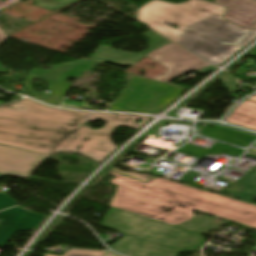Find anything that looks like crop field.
<instances>
[{
	"instance_id": "733c2abd",
	"label": "crop field",
	"mask_w": 256,
	"mask_h": 256,
	"mask_svg": "<svg viewBox=\"0 0 256 256\" xmlns=\"http://www.w3.org/2000/svg\"><path fill=\"white\" fill-rule=\"evenodd\" d=\"M213 137L223 139V140H226V141H229V142H232V143H235V144H239V145H242V146H245L247 143L250 142V140H246V139H243V138H239V137L228 135V134L221 133V132L217 133Z\"/></svg>"
},
{
	"instance_id": "8a807250",
	"label": "crop field",
	"mask_w": 256,
	"mask_h": 256,
	"mask_svg": "<svg viewBox=\"0 0 256 256\" xmlns=\"http://www.w3.org/2000/svg\"><path fill=\"white\" fill-rule=\"evenodd\" d=\"M97 119L107 124L96 130L80 126ZM136 119L142 121L138 124ZM147 120L131 115L61 111L24 99L0 108V145L48 154L80 152L101 162L117 149L110 139L114 129L124 125L137 130Z\"/></svg>"
},
{
	"instance_id": "d8731c3e",
	"label": "crop field",
	"mask_w": 256,
	"mask_h": 256,
	"mask_svg": "<svg viewBox=\"0 0 256 256\" xmlns=\"http://www.w3.org/2000/svg\"><path fill=\"white\" fill-rule=\"evenodd\" d=\"M173 43V42H172ZM166 44L152 52L147 57L163 63L167 68L168 72L165 76L155 80L163 83H167L191 70H198L209 63L202 59L192 55L191 53L183 50L182 48L174 44Z\"/></svg>"
},
{
	"instance_id": "4177f3b9",
	"label": "crop field",
	"mask_w": 256,
	"mask_h": 256,
	"mask_svg": "<svg viewBox=\"0 0 256 256\" xmlns=\"http://www.w3.org/2000/svg\"><path fill=\"white\" fill-rule=\"evenodd\" d=\"M253 29H256V24L253 25Z\"/></svg>"
},
{
	"instance_id": "bc2a9ffb",
	"label": "crop field",
	"mask_w": 256,
	"mask_h": 256,
	"mask_svg": "<svg viewBox=\"0 0 256 256\" xmlns=\"http://www.w3.org/2000/svg\"><path fill=\"white\" fill-rule=\"evenodd\" d=\"M20 0H7L5 2L0 1V9L10 6ZM6 38V34L0 29V42Z\"/></svg>"
},
{
	"instance_id": "00972430",
	"label": "crop field",
	"mask_w": 256,
	"mask_h": 256,
	"mask_svg": "<svg viewBox=\"0 0 256 256\" xmlns=\"http://www.w3.org/2000/svg\"><path fill=\"white\" fill-rule=\"evenodd\" d=\"M0 73H7L5 69L0 65Z\"/></svg>"
},
{
	"instance_id": "28ad6ade",
	"label": "crop field",
	"mask_w": 256,
	"mask_h": 256,
	"mask_svg": "<svg viewBox=\"0 0 256 256\" xmlns=\"http://www.w3.org/2000/svg\"><path fill=\"white\" fill-rule=\"evenodd\" d=\"M142 36L150 40L148 41V44H147L149 48L148 50H145L139 54H135V53L112 50V49H109V47L107 46L99 45L96 52L89 58V60L95 61L98 63L110 62V63L122 65V66L134 65L146 54H148L151 50H154L166 43H169V41L163 39L162 37L158 36L157 34L151 31Z\"/></svg>"
},
{
	"instance_id": "214f88e0",
	"label": "crop field",
	"mask_w": 256,
	"mask_h": 256,
	"mask_svg": "<svg viewBox=\"0 0 256 256\" xmlns=\"http://www.w3.org/2000/svg\"><path fill=\"white\" fill-rule=\"evenodd\" d=\"M107 168H108V169H111V170H114V171H116V172H119V173L128 175V176L134 177V178H136V179L145 181V182H148V181L150 180V179H147V178H144V177H141V176H137V175H134V174H131V173H126V172L118 171V170H115V169L110 168V167H107Z\"/></svg>"
},
{
	"instance_id": "e52e79f7",
	"label": "crop field",
	"mask_w": 256,
	"mask_h": 256,
	"mask_svg": "<svg viewBox=\"0 0 256 256\" xmlns=\"http://www.w3.org/2000/svg\"><path fill=\"white\" fill-rule=\"evenodd\" d=\"M204 243L200 234L189 231L169 248L127 235L109 247L129 256H178L180 252L194 251Z\"/></svg>"
},
{
	"instance_id": "3316defc",
	"label": "crop field",
	"mask_w": 256,
	"mask_h": 256,
	"mask_svg": "<svg viewBox=\"0 0 256 256\" xmlns=\"http://www.w3.org/2000/svg\"><path fill=\"white\" fill-rule=\"evenodd\" d=\"M45 216L36 215L15 207L0 212V247L7 243L18 230H33Z\"/></svg>"
},
{
	"instance_id": "22f410ed",
	"label": "crop field",
	"mask_w": 256,
	"mask_h": 256,
	"mask_svg": "<svg viewBox=\"0 0 256 256\" xmlns=\"http://www.w3.org/2000/svg\"><path fill=\"white\" fill-rule=\"evenodd\" d=\"M226 121L256 131V103L246 100L228 116Z\"/></svg>"
},
{
	"instance_id": "d9b57169",
	"label": "crop field",
	"mask_w": 256,
	"mask_h": 256,
	"mask_svg": "<svg viewBox=\"0 0 256 256\" xmlns=\"http://www.w3.org/2000/svg\"><path fill=\"white\" fill-rule=\"evenodd\" d=\"M106 252H96L88 250H69L63 256H103ZM43 256H56L50 254H44Z\"/></svg>"
},
{
	"instance_id": "4a817a6b",
	"label": "crop field",
	"mask_w": 256,
	"mask_h": 256,
	"mask_svg": "<svg viewBox=\"0 0 256 256\" xmlns=\"http://www.w3.org/2000/svg\"><path fill=\"white\" fill-rule=\"evenodd\" d=\"M17 203L4 193H0V210L16 205Z\"/></svg>"
},
{
	"instance_id": "412701ff",
	"label": "crop field",
	"mask_w": 256,
	"mask_h": 256,
	"mask_svg": "<svg viewBox=\"0 0 256 256\" xmlns=\"http://www.w3.org/2000/svg\"><path fill=\"white\" fill-rule=\"evenodd\" d=\"M184 91L133 75L109 110L159 113L178 99Z\"/></svg>"
},
{
	"instance_id": "5a996713",
	"label": "crop field",
	"mask_w": 256,
	"mask_h": 256,
	"mask_svg": "<svg viewBox=\"0 0 256 256\" xmlns=\"http://www.w3.org/2000/svg\"><path fill=\"white\" fill-rule=\"evenodd\" d=\"M48 156L47 154L0 146V173L28 177Z\"/></svg>"
},
{
	"instance_id": "d1516ede",
	"label": "crop field",
	"mask_w": 256,
	"mask_h": 256,
	"mask_svg": "<svg viewBox=\"0 0 256 256\" xmlns=\"http://www.w3.org/2000/svg\"><path fill=\"white\" fill-rule=\"evenodd\" d=\"M216 4L228 7L224 19L242 27L251 29L256 21V0H215Z\"/></svg>"
},
{
	"instance_id": "92a150f3",
	"label": "crop field",
	"mask_w": 256,
	"mask_h": 256,
	"mask_svg": "<svg viewBox=\"0 0 256 256\" xmlns=\"http://www.w3.org/2000/svg\"><path fill=\"white\" fill-rule=\"evenodd\" d=\"M216 68H217V67H215L214 65H212L211 67L206 68V69L200 71L199 73H207V72L212 71V70H214V69H216Z\"/></svg>"
},
{
	"instance_id": "dd49c442",
	"label": "crop field",
	"mask_w": 256,
	"mask_h": 256,
	"mask_svg": "<svg viewBox=\"0 0 256 256\" xmlns=\"http://www.w3.org/2000/svg\"><path fill=\"white\" fill-rule=\"evenodd\" d=\"M94 63L88 60H82L56 65L49 71L44 69L33 70L27 74L23 84L33 97L41 100L44 94L34 92L30 83L34 78L46 80L48 83L47 90L51 91V93L44 98L43 102L57 106L62 96L71 86L70 83L65 82V79L67 77H80Z\"/></svg>"
},
{
	"instance_id": "a9b5d70f",
	"label": "crop field",
	"mask_w": 256,
	"mask_h": 256,
	"mask_svg": "<svg viewBox=\"0 0 256 256\" xmlns=\"http://www.w3.org/2000/svg\"><path fill=\"white\" fill-rule=\"evenodd\" d=\"M248 100H251V101H255V102H256V96H254V97H252V98H250V99H248Z\"/></svg>"
},
{
	"instance_id": "cbeb9de0",
	"label": "crop field",
	"mask_w": 256,
	"mask_h": 256,
	"mask_svg": "<svg viewBox=\"0 0 256 256\" xmlns=\"http://www.w3.org/2000/svg\"><path fill=\"white\" fill-rule=\"evenodd\" d=\"M224 223L226 222L220 221L218 219H215L209 216H202V218L198 217L180 227L188 230H192L194 232L196 231L205 232L207 230L216 228Z\"/></svg>"
},
{
	"instance_id": "5142ce71",
	"label": "crop field",
	"mask_w": 256,
	"mask_h": 256,
	"mask_svg": "<svg viewBox=\"0 0 256 256\" xmlns=\"http://www.w3.org/2000/svg\"><path fill=\"white\" fill-rule=\"evenodd\" d=\"M75 0H36V5L54 11Z\"/></svg>"
},
{
	"instance_id": "ac0d7876",
	"label": "crop field",
	"mask_w": 256,
	"mask_h": 256,
	"mask_svg": "<svg viewBox=\"0 0 256 256\" xmlns=\"http://www.w3.org/2000/svg\"><path fill=\"white\" fill-rule=\"evenodd\" d=\"M225 10L204 0L180 4L153 0L137 10V18L161 35L220 65L240 49L235 43L249 31L224 20ZM164 22L176 25L177 29ZM254 38L256 31H250L238 45L243 48Z\"/></svg>"
},
{
	"instance_id": "f4fd0767",
	"label": "crop field",
	"mask_w": 256,
	"mask_h": 256,
	"mask_svg": "<svg viewBox=\"0 0 256 256\" xmlns=\"http://www.w3.org/2000/svg\"><path fill=\"white\" fill-rule=\"evenodd\" d=\"M102 227L169 247L188 230L111 207Z\"/></svg>"
},
{
	"instance_id": "34b2d1b8",
	"label": "crop field",
	"mask_w": 256,
	"mask_h": 256,
	"mask_svg": "<svg viewBox=\"0 0 256 256\" xmlns=\"http://www.w3.org/2000/svg\"><path fill=\"white\" fill-rule=\"evenodd\" d=\"M110 182L118 185L111 206L178 225L199 210L221 218L256 227V206L210 192L155 178L149 184L121 176Z\"/></svg>"
},
{
	"instance_id": "dafd665d",
	"label": "crop field",
	"mask_w": 256,
	"mask_h": 256,
	"mask_svg": "<svg viewBox=\"0 0 256 256\" xmlns=\"http://www.w3.org/2000/svg\"><path fill=\"white\" fill-rule=\"evenodd\" d=\"M104 256H119L111 251L107 252Z\"/></svg>"
}]
</instances>
